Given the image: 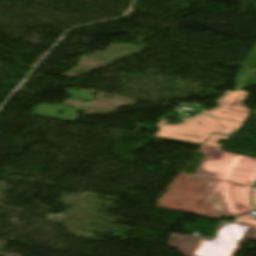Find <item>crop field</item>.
Wrapping results in <instances>:
<instances>
[{
    "label": "crop field",
    "instance_id": "crop-field-1",
    "mask_svg": "<svg viewBox=\"0 0 256 256\" xmlns=\"http://www.w3.org/2000/svg\"><path fill=\"white\" fill-rule=\"evenodd\" d=\"M247 240L256 241V226L220 222L214 239L172 234L168 246L185 256H234Z\"/></svg>",
    "mask_w": 256,
    "mask_h": 256
},
{
    "label": "crop field",
    "instance_id": "crop-field-2",
    "mask_svg": "<svg viewBox=\"0 0 256 256\" xmlns=\"http://www.w3.org/2000/svg\"><path fill=\"white\" fill-rule=\"evenodd\" d=\"M206 155L196 175L252 186L256 181V160L223 153L219 148L200 146Z\"/></svg>",
    "mask_w": 256,
    "mask_h": 256
},
{
    "label": "crop field",
    "instance_id": "crop-field-3",
    "mask_svg": "<svg viewBox=\"0 0 256 256\" xmlns=\"http://www.w3.org/2000/svg\"><path fill=\"white\" fill-rule=\"evenodd\" d=\"M170 117L176 116L166 115V117L157 124L161 130L156 133L155 136L202 144L213 132L232 135L242 125V123L214 118L203 114L188 119L182 117L186 121L185 123L169 125L165 120Z\"/></svg>",
    "mask_w": 256,
    "mask_h": 256
},
{
    "label": "crop field",
    "instance_id": "crop-field-4",
    "mask_svg": "<svg viewBox=\"0 0 256 256\" xmlns=\"http://www.w3.org/2000/svg\"><path fill=\"white\" fill-rule=\"evenodd\" d=\"M188 177L208 182L205 190L211 192L206 200L212 202V207L216 214L236 215L255 210L249 201V186L196 175H189ZM214 200H218V202H214Z\"/></svg>",
    "mask_w": 256,
    "mask_h": 256
},
{
    "label": "crop field",
    "instance_id": "crop-field-5",
    "mask_svg": "<svg viewBox=\"0 0 256 256\" xmlns=\"http://www.w3.org/2000/svg\"><path fill=\"white\" fill-rule=\"evenodd\" d=\"M247 96V92L227 91L218 101H216L219 104V107L214 108L211 111H205L203 109L200 111L222 118L245 122L248 119V113L250 112L243 105Z\"/></svg>",
    "mask_w": 256,
    "mask_h": 256
},
{
    "label": "crop field",
    "instance_id": "crop-field-6",
    "mask_svg": "<svg viewBox=\"0 0 256 256\" xmlns=\"http://www.w3.org/2000/svg\"><path fill=\"white\" fill-rule=\"evenodd\" d=\"M63 110H65V112L77 111L76 109L63 107V106H60V105H46V104H43V105H41L37 108V110L33 113V115L51 118V117L57 115V113L59 111L63 112Z\"/></svg>",
    "mask_w": 256,
    "mask_h": 256
},
{
    "label": "crop field",
    "instance_id": "crop-field-7",
    "mask_svg": "<svg viewBox=\"0 0 256 256\" xmlns=\"http://www.w3.org/2000/svg\"><path fill=\"white\" fill-rule=\"evenodd\" d=\"M230 137L222 136V135H215L213 134L209 139H207L203 145L207 146H213V147H219L222 148L223 145L217 144L219 141L224 140L227 141Z\"/></svg>",
    "mask_w": 256,
    "mask_h": 256
},
{
    "label": "crop field",
    "instance_id": "crop-field-8",
    "mask_svg": "<svg viewBox=\"0 0 256 256\" xmlns=\"http://www.w3.org/2000/svg\"><path fill=\"white\" fill-rule=\"evenodd\" d=\"M66 92H68L75 99L82 98L87 101H91L93 99V95L87 91L66 90Z\"/></svg>",
    "mask_w": 256,
    "mask_h": 256
},
{
    "label": "crop field",
    "instance_id": "crop-field-9",
    "mask_svg": "<svg viewBox=\"0 0 256 256\" xmlns=\"http://www.w3.org/2000/svg\"><path fill=\"white\" fill-rule=\"evenodd\" d=\"M235 221L256 225V216H252L249 213H247V214L237 216Z\"/></svg>",
    "mask_w": 256,
    "mask_h": 256
},
{
    "label": "crop field",
    "instance_id": "crop-field-10",
    "mask_svg": "<svg viewBox=\"0 0 256 256\" xmlns=\"http://www.w3.org/2000/svg\"><path fill=\"white\" fill-rule=\"evenodd\" d=\"M76 117H77L76 113H65L55 117V119L72 122Z\"/></svg>",
    "mask_w": 256,
    "mask_h": 256
},
{
    "label": "crop field",
    "instance_id": "crop-field-11",
    "mask_svg": "<svg viewBox=\"0 0 256 256\" xmlns=\"http://www.w3.org/2000/svg\"><path fill=\"white\" fill-rule=\"evenodd\" d=\"M252 196H253V202H254V204H255V206H256V187H254ZM254 204H253V205H254Z\"/></svg>",
    "mask_w": 256,
    "mask_h": 256
}]
</instances>
